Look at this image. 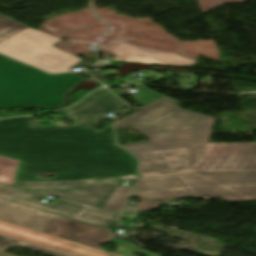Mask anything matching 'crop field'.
Listing matches in <instances>:
<instances>
[{
  "instance_id": "1",
  "label": "crop field",
  "mask_w": 256,
  "mask_h": 256,
  "mask_svg": "<svg viewBox=\"0 0 256 256\" xmlns=\"http://www.w3.org/2000/svg\"><path fill=\"white\" fill-rule=\"evenodd\" d=\"M124 107L103 88L66 109L77 123L70 127L31 128L32 117L0 120V155L20 161L15 181L134 175L137 161L115 145L111 126L100 132L91 127ZM42 172H54L55 178L40 179Z\"/></svg>"
},
{
  "instance_id": "2",
  "label": "crop field",
  "mask_w": 256,
  "mask_h": 256,
  "mask_svg": "<svg viewBox=\"0 0 256 256\" xmlns=\"http://www.w3.org/2000/svg\"><path fill=\"white\" fill-rule=\"evenodd\" d=\"M176 103L164 96L115 125L132 126L151 139L123 146L141 161L139 174L256 171V143L209 144L215 118L184 111Z\"/></svg>"
},
{
  "instance_id": "3",
  "label": "crop field",
  "mask_w": 256,
  "mask_h": 256,
  "mask_svg": "<svg viewBox=\"0 0 256 256\" xmlns=\"http://www.w3.org/2000/svg\"><path fill=\"white\" fill-rule=\"evenodd\" d=\"M135 195L158 200L211 196L230 203L256 201V172L144 177L139 178Z\"/></svg>"
},
{
  "instance_id": "4",
  "label": "crop field",
  "mask_w": 256,
  "mask_h": 256,
  "mask_svg": "<svg viewBox=\"0 0 256 256\" xmlns=\"http://www.w3.org/2000/svg\"><path fill=\"white\" fill-rule=\"evenodd\" d=\"M0 219L101 250L104 248L98 245L110 242L125 248L124 250L119 249L115 253L122 256H134L132 255L134 253L145 256H160L143 249L134 248L131 244L113 238L115 234L110 233L109 230L2 199H0Z\"/></svg>"
},
{
  "instance_id": "5",
  "label": "crop field",
  "mask_w": 256,
  "mask_h": 256,
  "mask_svg": "<svg viewBox=\"0 0 256 256\" xmlns=\"http://www.w3.org/2000/svg\"><path fill=\"white\" fill-rule=\"evenodd\" d=\"M44 74L0 55V85ZM82 80L84 79L73 73H68L49 75L0 88V108L62 104L64 103V94Z\"/></svg>"
},
{
  "instance_id": "6",
  "label": "crop field",
  "mask_w": 256,
  "mask_h": 256,
  "mask_svg": "<svg viewBox=\"0 0 256 256\" xmlns=\"http://www.w3.org/2000/svg\"><path fill=\"white\" fill-rule=\"evenodd\" d=\"M55 37L26 29L0 43V52L48 72L69 71L80 59L53 47Z\"/></svg>"
},
{
  "instance_id": "7",
  "label": "crop field",
  "mask_w": 256,
  "mask_h": 256,
  "mask_svg": "<svg viewBox=\"0 0 256 256\" xmlns=\"http://www.w3.org/2000/svg\"><path fill=\"white\" fill-rule=\"evenodd\" d=\"M120 177L82 180V181H45V182H14V186L28 189V188H71L83 186L96 182L110 181L119 179ZM120 181L84 186L68 190H31L33 192L45 194L47 196L71 201L82 205H90L102 208L110 197L114 194L120 186Z\"/></svg>"
},
{
  "instance_id": "8",
  "label": "crop field",
  "mask_w": 256,
  "mask_h": 256,
  "mask_svg": "<svg viewBox=\"0 0 256 256\" xmlns=\"http://www.w3.org/2000/svg\"><path fill=\"white\" fill-rule=\"evenodd\" d=\"M0 233L74 256H119L1 220Z\"/></svg>"
},
{
  "instance_id": "9",
  "label": "crop field",
  "mask_w": 256,
  "mask_h": 256,
  "mask_svg": "<svg viewBox=\"0 0 256 256\" xmlns=\"http://www.w3.org/2000/svg\"><path fill=\"white\" fill-rule=\"evenodd\" d=\"M0 197L31 205L34 207L42 208L72 218H74L79 212H81L84 209V207L62 200H59L57 203L53 205L37 202L35 201L36 199L40 197H45V195L28 192L1 184Z\"/></svg>"
},
{
  "instance_id": "10",
  "label": "crop field",
  "mask_w": 256,
  "mask_h": 256,
  "mask_svg": "<svg viewBox=\"0 0 256 256\" xmlns=\"http://www.w3.org/2000/svg\"><path fill=\"white\" fill-rule=\"evenodd\" d=\"M112 51L116 55V57L113 60H118V61H123L127 58H133V59L159 61L163 65H171V66H190L197 63L196 60H192V59L180 56L176 53L143 50V49L129 46L124 43L112 48Z\"/></svg>"
},
{
  "instance_id": "11",
  "label": "crop field",
  "mask_w": 256,
  "mask_h": 256,
  "mask_svg": "<svg viewBox=\"0 0 256 256\" xmlns=\"http://www.w3.org/2000/svg\"><path fill=\"white\" fill-rule=\"evenodd\" d=\"M118 216L119 215L115 213L99 210L92 207H86L75 218L109 227L112 225L115 219H118Z\"/></svg>"
},
{
  "instance_id": "12",
  "label": "crop field",
  "mask_w": 256,
  "mask_h": 256,
  "mask_svg": "<svg viewBox=\"0 0 256 256\" xmlns=\"http://www.w3.org/2000/svg\"><path fill=\"white\" fill-rule=\"evenodd\" d=\"M133 192L134 188L119 187L103 209L123 211Z\"/></svg>"
},
{
  "instance_id": "13",
  "label": "crop field",
  "mask_w": 256,
  "mask_h": 256,
  "mask_svg": "<svg viewBox=\"0 0 256 256\" xmlns=\"http://www.w3.org/2000/svg\"><path fill=\"white\" fill-rule=\"evenodd\" d=\"M25 28L27 27L0 14V42Z\"/></svg>"
},
{
  "instance_id": "14",
  "label": "crop field",
  "mask_w": 256,
  "mask_h": 256,
  "mask_svg": "<svg viewBox=\"0 0 256 256\" xmlns=\"http://www.w3.org/2000/svg\"><path fill=\"white\" fill-rule=\"evenodd\" d=\"M10 245L22 246V247L29 248V249H32V250H35V251H38V252H41V253H45V254H48V255H51V256H64V255H60V254H57V253H54V252H51V251H48V250H44V249H41V248H38V247H35V246H31V245H28V244H25V243H22V242H18V241L0 236V250L1 251L6 250V248Z\"/></svg>"
},
{
  "instance_id": "15",
  "label": "crop field",
  "mask_w": 256,
  "mask_h": 256,
  "mask_svg": "<svg viewBox=\"0 0 256 256\" xmlns=\"http://www.w3.org/2000/svg\"><path fill=\"white\" fill-rule=\"evenodd\" d=\"M136 89L139 90L141 93L136 94L135 99L142 105H145V104L163 96V95H159V94L147 89L143 85L136 86Z\"/></svg>"
},
{
  "instance_id": "16",
  "label": "crop field",
  "mask_w": 256,
  "mask_h": 256,
  "mask_svg": "<svg viewBox=\"0 0 256 256\" xmlns=\"http://www.w3.org/2000/svg\"><path fill=\"white\" fill-rule=\"evenodd\" d=\"M16 172L0 168V183L12 185Z\"/></svg>"
},
{
  "instance_id": "17",
  "label": "crop field",
  "mask_w": 256,
  "mask_h": 256,
  "mask_svg": "<svg viewBox=\"0 0 256 256\" xmlns=\"http://www.w3.org/2000/svg\"><path fill=\"white\" fill-rule=\"evenodd\" d=\"M162 204H164V203L163 202L140 199V201H139L137 207L134 209V211L145 210V209H157Z\"/></svg>"
},
{
  "instance_id": "18",
  "label": "crop field",
  "mask_w": 256,
  "mask_h": 256,
  "mask_svg": "<svg viewBox=\"0 0 256 256\" xmlns=\"http://www.w3.org/2000/svg\"><path fill=\"white\" fill-rule=\"evenodd\" d=\"M19 161L0 156V167L17 170Z\"/></svg>"
},
{
  "instance_id": "19",
  "label": "crop field",
  "mask_w": 256,
  "mask_h": 256,
  "mask_svg": "<svg viewBox=\"0 0 256 256\" xmlns=\"http://www.w3.org/2000/svg\"><path fill=\"white\" fill-rule=\"evenodd\" d=\"M190 171H191V170L176 171V172H165V173H154V174H144V175H139V177L154 176V175H164V174H175V173H185V172H190Z\"/></svg>"
},
{
  "instance_id": "20",
  "label": "crop field",
  "mask_w": 256,
  "mask_h": 256,
  "mask_svg": "<svg viewBox=\"0 0 256 256\" xmlns=\"http://www.w3.org/2000/svg\"><path fill=\"white\" fill-rule=\"evenodd\" d=\"M140 212H149V210L124 213L122 217H124V218H134V217H137V213H140Z\"/></svg>"
},
{
  "instance_id": "21",
  "label": "crop field",
  "mask_w": 256,
  "mask_h": 256,
  "mask_svg": "<svg viewBox=\"0 0 256 256\" xmlns=\"http://www.w3.org/2000/svg\"><path fill=\"white\" fill-rule=\"evenodd\" d=\"M126 61H130V62H142V63H153V64H159V65H161L159 62H153V61H143V60H133V59H127Z\"/></svg>"
},
{
  "instance_id": "22",
  "label": "crop field",
  "mask_w": 256,
  "mask_h": 256,
  "mask_svg": "<svg viewBox=\"0 0 256 256\" xmlns=\"http://www.w3.org/2000/svg\"><path fill=\"white\" fill-rule=\"evenodd\" d=\"M37 77H40V76H37ZM37 77H33V78H37ZM33 78H30V79H33ZM30 79H26V80H30ZM26 80H23V81H26ZM20 82H22V81H20ZM16 83H18V82H16ZM12 84H14V83H12ZM8 85H10V84H8ZM5 86H7V85H5ZM1 87H3V86H1Z\"/></svg>"
}]
</instances>
